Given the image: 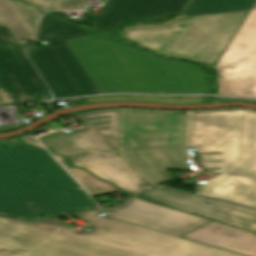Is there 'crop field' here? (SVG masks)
I'll return each instance as SVG.
<instances>
[{
  "label": "crop field",
  "instance_id": "crop-field-1",
  "mask_svg": "<svg viewBox=\"0 0 256 256\" xmlns=\"http://www.w3.org/2000/svg\"><path fill=\"white\" fill-rule=\"evenodd\" d=\"M187 147H196L203 168L217 175L198 184L200 195L256 209V112H188Z\"/></svg>",
  "mask_w": 256,
  "mask_h": 256
},
{
  "label": "crop field",
  "instance_id": "crop-field-2",
  "mask_svg": "<svg viewBox=\"0 0 256 256\" xmlns=\"http://www.w3.org/2000/svg\"><path fill=\"white\" fill-rule=\"evenodd\" d=\"M99 93L203 94L202 72L93 35L65 40Z\"/></svg>",
  "mask_w": 256,
  "mask_h": 256
},
{
  "label": "crop field",
  "instance_id": "crop-field-3",
  "mask_svg": "<svg viewBox=\"0 0 256 256\" xmlns=\"http://www.w3.org/2000/svg\"><path fill=\"white\" fill-rule=\"evenodd\" d=\"M78 214L93 230L77 232L57 218L36 222L60 229L26 256H240L184 239L99 217Z\"/></svg>",
  "mask_w": 256,
  "mask_h": 256
},
{
  "label": "crop field",
  "instance_id": "crop-field-4",
  "mask_svg": "<svg viewBox=\"0 0 256 256\" xmlns=\"http://www.w3.org/2000/svg\"><path fill=\"white\" fill-rule=\"evenodd\" d=\"M182 112L119 109V155L153 188L174 180L165 169L191 170L184 153Z\"/></svg>",
  "mask_w": 256,
  "mask_h": 256
},
{
  "label": "crop field",
  "instance_id": "crop-field-5",
  "mask_svg": "<svg viewBox=\"0 0 256 256\" xmlns=\"http://www.w3.org/2000/svg\"><path fill=\"white\" fill-rule=\"evenodd\" d=\"M248 11L183 17L171 24L183 28H143L121 33L132 43L175 58L196 60L208 67L217 62Z\"/></svg>",
  "mask_w": 256,
  "mask_h": 256
},
{
  "label": "crop field",
  "instance_id": "crop-field-6",
  "mask_svg": "<svg viewBox=\"0 0 256 256\" xmlns=\"http://www.w3.org/2000/svg\"><path fill=\"white\" fill-rule=\"evenodd\" d=\"M50 162L46 151L20 142L0 147V215L43 219L30 203L66 194L40 166Z\"/></svg>",
  "mask_w": 256,
  "mask_h": 256
},
{
  "label": "crop field",
  "instance_id": "crop-field-7",
  "mask_svg": "<svg viewBox=\"0 0 256 256\" xmlns=\"http://www.w3.org/2000/svg\"><path fill=\"white\" fill-rule=\"evenodd\" d=\"M215 69L216 94L256 98V4Z\"/></svg>",
  "mask_w": 256,
  "mask_h": 256
},
{
  "label": "crop field",
  "instance_id": "crop-field-8",
  "mask_svg": "<svg viewBox=\"0 0 256 256\" xmlns=\"http://www.w3.org/2000/svg\"><path fill=\"white\" fill-rule=\"evenodd\" d=\"M49 93L23 49L9 30L0 26V106L35 102Z\"/></svg>",
  "mask_w": 256,
  "mask_h": 256
},
{
  "label": "crop field",
  "instance_id": "crop-field-9",
  "mask_svg": "<svg viewBox=\"0 0 256 256\" xmlns=\"http://www.w3.org/2000/svg\"><path fill=\"white\" fill-rule=\"evenodd\" d=\"M75 117L85 123L84 129L58 132L38 140L67 158L111 149L117 152L118 109L85 112Z\"/></svg>",
  "mask_w": 256,
  "mask_h": 256
},
{
  "label": "crop field",
  "instance_id": "crop-field-10",
  "mask_svg": "<svg viewBox=\"0 0 256 256\" xmlns=\"http://www.w3.org/2000/svg\"><path fill=\"white\" fill-rule=\"evenodd\" d=\"M189 0H108L99 17L84 12L83 17L71 19L65 13L52 14L67 22L84 23L100 30H112L120 23L158 15H177Z\"/></svg>",
  "mask_w": 256,
  "mask_h": 256
},
{
  "label": "crop field",
  "instance_id": "crop-field-11",
  "mask_svg": "<svg viewBox=\"0 0 256 256\" xmlns=\"http://www.w3.org/2000/svg\"><path fill=\"white\" fill-rule=\"evenodd\" d=\"M146 199L256 232V212L235 205L167 189L144 193Z\"/></svg>",
  "mask_w": 256,
  "mask_h": 256
},
{
  "label": "crop field",
  "instance_id": "crop-field-12",
  "mask_svg": "<svg viewBox=\"0 0 256 256\" xmlns=\"http://www.w3.org/2000/svg\"><path fill=\"white\" fill-rule=\"evenodd\" d=\"M105 211L114 218L179 237L209 221L136 198Z\"/></svg>",
  "mask_w": 256,
  "mask_h": 256
},
{
  "label": "crop field",
  "instance_id": "crop-field-13",
  "mask_svg": "<svg viewBox=\"0 0 256 256\" xmlns=\"http://www.w3.org/2000/svg\"><path fill=\"white\" fill-rule=\"evenodd\" d=\"M88 30L90 29L62 23L50 15H45L38 39V41L44 40L50 44L82 95L95 94L98 91L64 40L84 36Z\"/></svg>",
  "mask_w": 256,
  "mask_h": 256
},
{
  "label": "crop field",
  "instance_id": "crop-field-14",
  "mask_svg": "<svg viewBox=\"0 0 256 256\" xmlns=\"http://www.w3.org/2000/svg\"><path fill=\"white\" fill-rule=\"evenodd\" d=\"M75 166L84 167L101 179L133 194L141 192L146 182L114 150L69 159Z\"/></svg>",
  "mask_w": 256,
  "mask_h": 256
},
{
  "label": "crop field",
  "instance_id": "crop-field-15",
  "mask_svg": "<svg viewBox=\"0 0 256 256\" xmlns=\"http://www.w3.org/2000/svg\"><path fill=\"white\" fill-rule=\"evenodd\" d=\"M55 181L68 193L66 195L32 203L39 213L46 218L79 212L96 205L77 183L56 163L42 165Z\"/></svg>",
  "mask_w": 256,
  "mask_h": 256
},
{
  "label": "crop field",
  "instance_id": "crop-field-16",
  "mask_svg": "<svg viewBox=\"0 0 256 256\" xmlns=\"http://www.w3.org/2000/svg\"><path fill=\"white\" fill-rule=\"evenodd\" d=\"M58 229L0 218V256H25Z\"/></svg>",
  "mask_w": 256,
  "mask_h": 256
},
{
  "label": "crop field",
  "instance_id": "crop-field-17",
  "mask_svg": "<svg viewBox=\"0 0 256 256\" xmlns=\"http://www.w3.org/2000/svg\"><path fill=\"white\" fill-rule=\"evenodd\" d=\"M184 238L233 252L256 256V234L212 221Z\"/></svg>",
  "mask_w": 256,
  "mask_h": 256
},
{
  "label": "crop field",
  "instance_id": "crop-field-18",
  "mask_svg": "<svg viewBox=\"0 0 256 256\" xmlns=\"http://www.w3.org/2000/svg\"><path fill=\"white\" fill-rule=\"evenodd\" d=\"M28 53L55 98L81 95L50 46Z\"/></svg>",
  "mask_w": 256,
  "mask_h": 256
},
{
  "label": "crop field",
  "instance_id": "crop-field-19",
  "mask_svg": "<svg viewBox=\"0 0 256 256\" xmlns=\"http://www.w3.org/2000/svg\"><path fill=\"white\" fill-rule=\"evenodd\" d=\"M256 0H192L184 13L191 16L220 12L250 10Z\"/></svg>",
  "mask_w": 256,
  "mask_h": 256
},
{
  "label": "crop field",
  "instance_id": "crop-field-20",
  "mask_svg": "<svg viewBox=\"0 0 256 256\" xmlns=\"http://www.w3.org/2000/svg\"><path fill=\"white\" fill-rule=\"evenodd\" d=\"M0 24L8 25L17 39L36 37L12 0H0Z\"/></svg>",
  "mask_w": 256,
  "mask_h": 256
},
{
  "label": "crop field",
  "instance_id": "crop-field-21",
  "mask_svg": "<svg viewBox=\"0 0 256 256\" xmlns=\"http://www.w3.org/2000/svg\"><path fill=\"white\" fill-rule=\"evenodd\" d=\"M86 103L95 102H112V101H143L163 104H205V97H187V96H173V97H152V96H135V95H121V96H97L84 98Z\"/></svg>",
  "mask_w": 256,
  "mask_h": 256
},
{
  "label": "crop field",
  "instance_id": "crop-field-22",
  "mask_svg": "<svg viewBox=\"0 0 256 256\" xmlns=\"http://www.w3.org/2000/svg\"><path fill=\"white\" fill-rule=\"evenodd\" d=\"M68 170L78 179L81 185L91 194L92 197L121 191L111 183L104 182L83 169L75 167Z\"/></svg>",
  "mask_w": 256,
  "mask_h": 256
},
{
  "label": "crop field",
  "instance_id": "crop-field-23",
  "mask_svg": "<svg viewBox=\"0 0 256 256\" xmlns=\"http://www.w3.org/2000/svg\"><path fill=\"white\" fill-rule=\"evenodd\" d=\"M16 6L19 8L27 22L30 24L34 32L37 34V28L39 24V19L42 14H40L37 10H35L33 7L25 4L20 3L18 1H14Z\"/></svg>",
  "mask_w": 256,
  "mask_h": 256
},
{
  "label": "crop field",
  "instance_id": "crop-field-24",
  "mask_svg": "<svg viewBox=\"0 0 256 256\" xmlns=\"http://www.w3.org/2000/svg\"><path fill=\"white\" fill-rule=\"evenodd\" d=\"M83 0H55L49 10L80 9Z\"/></svg>",
  "mask_w": 256,
  "mask_h": 256
},
{
  "label": "crop field",
  "instance_id": "crop-field-25",
  "mask_svg": "<svg viewBox=\"0 0 256 256\" xmlns=\"http://www.w3.org/2000/svg\"><path fill=\"white\" fill-rule=\"evenodd\" d=\"M27 2H29L30 4L36 6L39 10H41L42 12H44V10L46 9V7L48 6V4L52 1V0H25Z\"/></svg>",
  "mask_w": 256,
  "mask_h": 256
},
{
  "label": "crop field",
  "instance_id": "crop-field-26",
  "mask_svg": "<svg viewBox=\"0 0 256 256\" xmlns=\"http://www.w3.org/2000/svg\"><path fill=\"white\" fill-rule=\"evenodd\" d=\"M212 100H218V101H221V100H224V101H249V100L229 99V98H220V97H214ZM252 102H255V101H252Z\"/></svg>",
  "mask_w": 256,
  "mask_h": 256
},
{
  "label": "crop field",
  "instance_id": "crop-field-27",
  "mask_svg": "<svg viewBox=\"0 0 256 256\" xmlns=\"http://www.w3.org/2000/svg\"><path fill=\"white\" fill-rule=\"evenodd\" d=\"M23 126H25V125H23ZM14 129H17V128H15V127H3V128H0V132H6V131L14 130Z\"/></svg>",
  "mask_w": 256,
  "mask_h": 256
},
{
  "label": "crop field",
  "instance_id": "crop-field-28",
  "mask_svg": "<svg viewBox=\"0 0 256 256\" xmlns=\"http://www.w3.org/2000/svg\"><path fill=\"white\" fill-rule=\"evenodd\" d=\"M167 26L172 27L173 30H181V28L175 27V26H173V25H171V24H166V25H163V26H161V27H167ZM140 28H143V27H140Z\"/></svg>",
  "mask_w": 256,
  "mask_h": 256
}]
</instances>
